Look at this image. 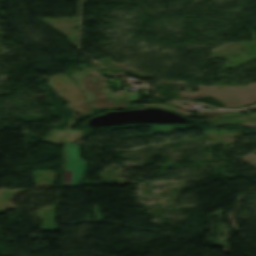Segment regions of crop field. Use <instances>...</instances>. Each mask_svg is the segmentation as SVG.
I'll use <instances>...</instances> for the list:
<instances>
[{"label":"crop field","mask_w":256,"mask_h":256,"mask_svg":"<svg viewBox=\"0 0 256 256\" xmlns=\"http://www.w3.org/2000/svg\"><path fill=\"white\" fill-rule=\"evenodd\" d=\"M78 153V145L64 146L63 186H79V179L87 171V162L79 159Z\"/></svg>","instance_id":"crop-field-1"},{"label":"crop field","mask_w":256,"mask_h":256,"mask_svg":"<svg viewBox=\"0 0 256 256\" xmlns=\"http://www.w3.org/2000/svg\"><path fill=\"white\" fill-rule=\"evenodd\" d=\"M129 100H138V94H128Z\"/></svg>","instance_id":"crop-field-2"}]
</instances>
